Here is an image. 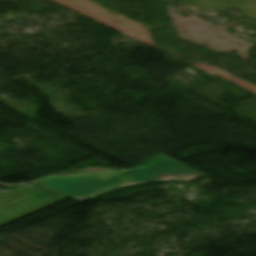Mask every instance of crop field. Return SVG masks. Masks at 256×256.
<instances>
[{"label":"crop field","instance_id":"1","mask_svg":"<svg viewBox=\"0 0 256 256\" xmlns=\"http://www.w3.org/2000/svg\"><path fill=\"white\" fill-rule=\"evenodd\" d=\"M204 175L178 161L168 163L162 166L145 169L131 173L127 176L117 178L100 186L94 187L82 193L71 196L79 202H84L97 194L105 193L113 189L137 185L146 182H155V181H188L190 179L196 178L198 176Z\"/></svg>","mask_w":256,"mask_h":256},{"label":"crop field","instance_id":"2","mask_svg":"<svg viewBox=\"0 0 256 256\" xmlns=\"http://www.w3.org/2000/svg\"><path fill=\"white\" fill-rule=\"evenodd\" d=\"M66 196L37 184L11 196L0 195V226L64 200Z\"/></svg>","mask_w":256,"mask_h":256},{"label":"crop field","instance_id":"3","mask_svg":"<svg viewBox=\"0 0 256 256\" xmlns=\"http://www.w3.org/2000/svg\"><path fill=\"white\" fill-rule=\"evenodd\" d=\"M121 175L123 174L118 171H108L101 173H85L78 176L62 178L47 177L38 182L69 196L87 188L115 179Z\"/></svg>","mask_w":256,"mask_h":256},{"label":"crop field","instance_id":"4","mask_svg":"<svg viewBox=\"0 0 256 256\" xmlns=\"http://www.w3.org/2000/svg\"><path fill=\"white\" fill-rule=\"evenodd\" d=\"M170 161H174L173 159L167 157V156H162V157H159V158H155L147 163H144L138 167H135L129 171H136V170H140V169H144V168H148V167H152V166H156V165H159V164H163V163H166V162H170Z\"/></svg>","mask_w":256,"mask_h":256}]
</instances>
